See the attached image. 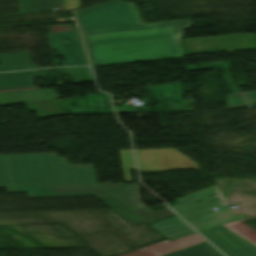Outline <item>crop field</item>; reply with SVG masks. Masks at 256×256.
<instances>
[{"instance_id":"crop-field-12","label":"crop field","mask_w":256,"mask_h":256,"mask_svg":"<svg viewBox=\"0 0 256 256\" xmlns=\"http://www.w3.org/2000/svg\"><path fill=\"white\" fill-rule=\"evenodd\" d=\"M58 99L53 89L0 93V104Z\"/></svg>"},{"instance_id":"crop-field-1","label":"crop field","mask_w":256,"mask_h":256,"mask_svg":"<svg viewBox=\"0 0 256 256\" xmlns=\"http://www.w3.org/2000/svg\"><path fill=\"white\" fill-rule=\"evenodd\" d=\"M76 13L93 65L182 56L174 30L191 24H144L135 5L122 1Z\"/></svg>"},{"instance_id":"crop-field-15","label":"crop field","mask_w":256,"mask_h":256,"mask_svg":"<svg viewBox=\"0 0 256 256\" xmlns=\"http://www.w3.org/2000/svg\"><path fill=\"white\" fill-rule=\"evenodd\" d=\"M63 10V0H20L19 14Z\"/></svg>"},{"instance_id":"crop-field-10","label":"crop field","mask_w":256,"mask_h":256,"mask_svg":"<svg viewBox=\"0 0 256 256\" xmlns=\"http://www.w3.org/2000/svg\"><path fill=\"white\" fill-rule=\"evenodd\" d=\"M245 217L246 216L244 215L235 217L229 208H225L220 211L192 219L187 221V223L193 226L198 232H201Z\"/></svg>"},{"instance_id":"crop-field-2","label":"crop field","mask_w":256,"mask_h":256,"mask_svg":"<svg viewBox=\"0 0 256 256\" xmlns=\"http://www.w3.org/2000/svg\"><path fill=\"white\" fill-rule=\"evenodd\" d=\"M82 166L56 153L0 155V187L97 183L93 165Z\"/></svg>"},{"instance_id":"crop-field-7","label":"crop field","mask_w":256,"mask_h":256,"mask_svg":"<svg viewBox=\"0 0 256 256\" xmlns=\"http://www.w3.org/2000/svg\"><path fill=\"white\" fill-rule=\"evenodd\" d=\"M104 202L108 207L120 215L132 226L147 222L148 224L175 216L168 208L152 211L144 208L132 211L114 196L97 197Z\"/></svg>"},{"instance_id":"crop-field-9","label":"crop field","mask_w":256,"mask_h":256,"mask_svg":"<svg viewBox=\"0 0 256 256\" xmlns=\"http://www.w3.org/2000/svg\"><path fill=\"white\" fill-rule=\"evenodd\" d=\"M140 171L170 169L166 149L135 150Z\"/></svg>"},{"instance_id":"crop-field-11","label":"crop field","mask_w":256,"mask_h":256,"mask_svg":"<svg viewBox=\"0 0 256 256\" xmlns=\"http://www.w3.org/2000/svg\"><path fill=\"white\" fill-rule=\"evenodd\" d=\"M150 226L169 241L196 233L177 216L150 224Z\"/></svg>"},{"instance_id":"crop-field-17","label":"crop field","mask_w":256,"mask_h":256,"mask_svg":"<svg viewBox=\"0 0 256 256\" xmlns=\"http://www.w3.org/2000/svg\"><path fill=\"white\" fill-rule=\"evenodd\" d=\"M165 256H223L207 242L170 253Z\"/></svg>"},{"instance_id":"crop-field-4","label":"crop field","mask_w":256,"mask_h":256,"mask_svg":"<svg viewBox=\"0 0 256 256\" xmlns=\"http://www.w3.org/2000/svg\"><path fill=\"white\" fill-rule=\"evenodd\" d=\"M200 234L228 256H256V246L222 225ZM220 250V251H221ZM226 255V256H227Z\"/></svg>"},{"instance_id":"crop-field-19","label":"crop field","mask_w":256,"mask_h":256,"mask_svg":"<svg viewBox=\"0 0 256 256\" xmlns=\"http://www.w3.org/2000/svg\"><path fill=\"white\" fill-rule=\"evenodd\" d=\"M171 169L198 168V165L173 149H167Z\"/></svg>"},{"instance_id":"crop-field-3","label":"crop field","mask_w":256,"mask_h":256,"mask_svg":"<svg viewBox=\"0 0 256 256\" xmlns=\"http://www.w3.org/2000/svg\"><path fill=\"white\" fill-rule=\"evenodd\" d=\"M16 192H26L27 198L114 195L132 210L145 207L140 203L137 185L106 184L7 188V193Z\"/></svg>"},{"instance_id":"crop-field-21","label":"crop field","mask_w":256,"mask_h":256,"mask_svg":"<svg viewBox=\"0 0 256 256\" xmlns=\"http://www.w3.org/2000/svg\"><path fill=\"white\" fill-rule=\"evenodd\" d=\"M81 0H64V10L79 9Z\"/></svg>"},{"instance_id":"crop-field-5","label":"crop field","mask_w":256,"mask_h":256,"mask_svg":"<svg viewBox=\"0 0 256 256\" xmlns=\"http://www.w3.org/2000/svg\"><path fill=\"white\" fill-rule=\"evenodd\" d=\"M218 192L222 199L218 201L211 202L207 204L205 199L203 203H194L196 201L202 200L207 197L208 194ZM214 196V197H218ZM211 197V198H214ZM209 198V199H211ZM179 203L171 205L170 207L173 208L183 219L187 220L208 212H211L212 208H221L227 206L225 203V199L221 196L218 188L216 185L203 189L201 191L189 194L187 196L181 197L176 199Z\"/></svg>"},{"instance_id":"crop-field-22","label":"crop field","mask_w":256,"mask_h":256,"mask_svg":"<svg viewBox=\"0 0 256 256\" xmlns=\"http://www.w3.org/2000/svg\"><path fill=\"white\" fill-rule=\"evenodd\" d=\"M175 32H176L178 44H179V46H181V44H180V36H181V34H182V31H175Z\"/></svg>"},{"instance_id":"crop-field-18","label":"crop field","mask_w":256,"mask_h":256,"mask_svg":"<svg viewBox=\"0 0 256 256\" xmlns=\"http://www.w3.org/2000/svg\"><path fill=\"white\" fill-rule=\"evenodd\" d=\"M256 104V91L234 93L226 96V108L242 107Z\"/></svg>"},{"instance_id":"crop-field-20","label":"crop field","mask_w":256,"mask_h":256,"mask_svg":"<svg viewBox=\"0 0 256 256\" xmlns=\"http://www.w3.org/2000/svg\"><path fill=\"white\" fill-rule=\"evenodd\" d=\"M120 158L124 170L125 180L130 182L128 168L134 169L133 157L131 150L120 151ZM135 170V169H134Z\"/></svg>"},{"instance_id":"crop-field-16","label":"crop field","mask_w":256,"mask_h":256,"mask_svg":"<svg viewBox=\"0 0 256 256\" xmlns=\"http://www.w3.org/2000/svg\"><path fill=\"white\" fill-rule=\"evenodd\" d=\"M17 104H24L26 109L37 112L39 115V119L56 115H63L62 108L58 100L27 102Z\"/></svg>"},{"instance_id":"crop-field-8","label":"crop field","mask_w":256,"mask_h":256,"mask_svg":"<svg viewBox=\"0 0 256 256\" xmlns=\"http://www.w3.org/2000/svg\"><path fill=\"white\" fill-rule=\"evenodd\" d=\"M205 241L198 234L169 242L168 240L119 256H162L187 246Z\"/></svg>"},{"instance_id":"crop-field-14","label":"crop field","mask_w":256,"mask_h":256,"mask_svg":"<svg viewBox=\"0 0 256 256\" xmlns=\"http://www.w3.org/2000/svg\"><path fill=\"white\" fill-rule=\"evenodd\" d=\"M0 71L35 69L28 52H10L0 54Z\"/></svg>"},{"instance_id":"crop-field-23","label":"crop field","mask_w":256,"mask_h":256,"mask_svg":"<svg viewBox=\"0 0 256 256\" xmlns=\"http://www.w3.org/2000/svg\"><path fill=\"white\" fill-rule=\"evenodd\" d=\"M138 107L137 106H134V110H131V111H127V112H140L139 110H137Z\"/></svg>"},{"instance_id":"crop-field-6","label":"crop field","mask_w":256,"mask_h":256,"mask_svg":"<svg viewBox=\"0 0 256 256\" xmlns=\"http://www.w3.org/2000/svg\"><path fill=\"white\" fill-rule=\"evenodd\" d=\"M49 45L64 56L62 66L87 64L77 31L48 34Z\"/></svg>"},{"instance_id":"crop-field-13","label":"crop field","mask_w":256,"mask_h":256,"mask_svg":"<svg viewBox=\"0 0 256 256\" xmlns=\"http://www.w3.org/2000/svg\"><path fill=\"white\" fill-rule=\"evenodd\" d=\"M30 75L33 77L46 76L45 74H38L36 71L0 74V91L34 87L31 81L33 77H29Z\"/></svg>"}]
</instances>
